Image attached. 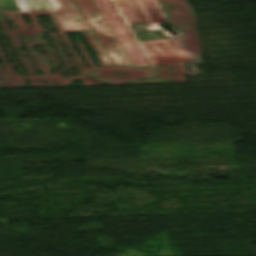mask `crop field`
<instances>
[{"mask_svg": "<svg viewBox=\"0 0 256 256\" xmlns=\"http://www.w3.org/2000/svg\"><path fill=\"white\" fill-rule=\"evenodd\" d=\"M1 10H18L13 0H0Z\"/></svg>", "mask_w": 256, "mask_h": 256, "instance_id": "obj_6", "label": "crop field"}, {"mask_svg": "<svg viewBox=\"0 0 256 256\" xmlns=\"http://www.w3.org/2000/svg\"><path fill=\"white\" fill-rule=\"evenodd\" d=\"M26 11H56L59 9L55 0H17Z\"/></svg>", "mask_w": 256, "mask_h": 256, "instance_id": "obj_4", "label": "crop field"}, {"mask_svg": "<svg viewBox=\"0 0 256 256\" xmlns=\"http://www.w3.org/2000/svg\"><path fill=\"white\" fill-rule=\"evenodd\" d=\"M127 23L150 26L156 19L144 0H113Z\"/></svg>", "mask_w": 256, "mask_h": 256, "instance_id": "obj_2", "label": "crop field"}, {"mask_svg": "<svg viewBox=\"0 0 256 256\" xmlns=\"http://www.w3.org/2000/svg\"><path fill=\"white\" fill-rule=\"evenodd\" d=\"M67 32H82L102 66H150L110 0H57Z\"/></svg>", "mask_w": 256, "mask_h": 256, "instance_id": "obj_1", "label": "crop field"}, {"mask_svg": "<svg viewBox=\"0 0 256 256\" xmlns=\"http://www.w3.org/2000/svg\"><path fill=\"white\" fill-rule=\"evenodd\" d=\"M147 55L176 53L168 39L139 40Z\"/></svg>", "mask_w": 256, "mask_h": 256, "instance_id": "obj_3", "label": "crop field"}, {"mask_svg": "<svg viewBox=\"0 0 256 256\" xmlns=\"http://www.w3.org/2000/svg\"><path fill=\"white\" fill-rule=\"evenodd\" d=\"M145 1L149 6V8L151 9L152 13L154 14L155 18L157 19L158 23H167L166 19L164 18L163 14L161 13L155 1L154 0H145Z\"/></svg>", "mask_w": 256, "mask_h": 256, "instance_id": "obj_5", "label": "crop field"}]
</instances>
